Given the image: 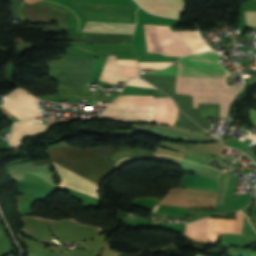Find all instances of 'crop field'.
<instances>
[{"mask_svg": "<svg viewBox=\"0 0 256 256\" xmlns=\"http://www.w3.org/2000/svg\"><path fill=\"white\" fill-rule=\"evenodd\" d=\"M221 233H234V220L209 218L206 238L217 240V235Z\"/></svg>", "mask_w": 256, "mask_h": 256, "instance_id": "22f410ed", "label": "crop field"}, {"mask_svg": "<svg viewBox=\"0 0 256 256\" xmlns=\"http://www.w3.org/2000/svg\"><path fill=\"white\" fill-rule=\"evenodd\" d=\"M121 75L134 77L138 75V68L124 67Z\"/></svg>", "mask_w": 256, "mask_h": 256, "instance_id": "214f88e0", "label": "crop field"}, {"mask_svg": "<svg viewBox=\"0 0 256 256\" xmlns=\"http://www.w3.org/2000/svg\"><path fill=\"white\" fill-rule=\"evenodd\" d=\"M115 97H95L91 101H111Z\"/></svg>", "mask_w": 256, "mask_h": 256, "instance_id": "00972430", "label": "crop field"}, {"mask_svg": "<svg viewBox=\"0 0 256 256\" xmlns=\"http://www.w3.org/2000/svg\"><path fill=\"white\" fill-rule=\"evenodd\" d=\"M54 167L57 171V174L60 176L62 182L58 184L59 188L61 189L62 187H70L76 190H79L81 192L87 193L93 197L98 196V189L97 185L54 164Z\"/></svg>", "mask_w": 256, "mask_h": 256, "instance_id": "d8731c3e", "label": "crop field"}, {"mask_svg": "<svg viewBox=\"0 0 256 256\" xmlns=\"http://www.w3.org/2000/svg\"><path fill=\"white\" fill-rule=\"evenodd\" d=\"M250 115H251V118H252L254 124L256 125V111H253V110H252V111L250 112Z\"/></svg>", "mask_w": 256, "mask_h": 256, "instance_id": "4177f3b9", "label": "crop field"}, {"mask_svg": "<svg viewBox=\"0 0 256 256\" xmlns=\"http://www.w3.org/2000/svg\"><path fill=\"white\" fill-rule=\"evenodd\" d=\"M127 85H135V86L155 88V87L149 85L148 83H146L145 81L140 80V79H132V80L129 81V83Z\"/></svg>", "mask_w": 256, "mask_h": 256, "instance_id": "92a150f3", "label": "crop field"}, {"mask_svg": "<svg viewBox=\"0 0 256 256\" xmlns=\"http://www.w3.org/2000/svg\"><path fill=\"white\" fill-rule=\"evenodd\" d=\"M22 89H16L5 99L3 107L19 120L34 117L40 114L35 97Z\"/></svg>", "mask_w": 256, "mask_h": 256, "instance_id": "412701ff", "label": "crop field"}, {"mask_svg": "<svg viewBox=\"0 0 256 256\" xmlns=\"http://www.w3.org/2000/svg\"><path fill=\"white\" fill-rule=\"evenodd\" d=\"M51 159L35 161L34 165L54 162L94 183H98L106 174L113 170V163L106 156L102 157L94 150L85 148H59L44 151Z\"/></svg>", "mask_w": 256, "mask_h": 256, "instance_id": "ac0d7876", "label": "crop field"}, {"mask_svg": "<svg viewBox=\"0 0 256 256\" xmlns=\"http://www.w3.org/2000/svg\"><path fill=\"white\" fill-rule=\"evenodd\" d=\"M50 127L51 126L35 124L33 119L21 123H16L13 127L8 142L10 145L18 148L22 140L30 136L39 135L40 133L48 130Z\"/></svg>", "mask_w": 256, "mask_h": 256, "instance_id": "3316defc", "label": "crop field"}, {"mask_svg": "<svg viewBox=\"0 0 256 256\" xmlns=\"http://www.w3.org/2000/svg\"><path fill=\"white\" fill-rule=\"evenodd\" d=\"M142 97H153V96H119V99H127V98H142Z\"/></svg>", "mask_w": 256, "mask_h": 256, "instance_id": "a9b5d70f", "label": "crop field"}, {"mask_svg": "<svg viewBox=\"0 0 256 256\" xmlns=\"http://www.w3.org/2000/svg\"><path fill=\"white\" fill-rule=\"evenodd\" d=\"M21 5V1L11 2V15L14 20H20L21 16L19 14V7Z\"/></svg>", "mask_w": 256, "mask_h": 256, "instance_id": "733c2abd", "label": "crop field"}, {"mask_svg": "<svg viewBox=\"0 0 256 256\" xmlns=\"http://www.w3.org/2000/svg\"><path fill=\"white\" fill-rule=\"evenodd\" d=\"M3 1H16V0H3Z\"/></svg>", "mask_w": 256, "mask_h": 256, "instance_id": "eef30255", "label": "crop field"}, {"mask_svg": "<svg viewBox=\"0 0 256 256\" xmlns=\"http://www.w3.org/2000/svg\"><path fill=\"white\" fill-rule=\"evenodd\" d=\"M244 214L240 211L236 212V228L235 233H241L243 226Z\"/></svg>", "mask_w": 256, "mask_h": 256, "instance_id": "4a817a6b", "label": "crop field"}, {"mask_svg": "<svg viewBox=\"0 0 256 256\" xmlns=\"http://www.w3.org/2000/svg\"><path fill=\"white\" fill-rule=\"evenodd\" d=\"M158 207H159L158 205H155V207L153 208L152 212H156Z\"/></svg>", "mask_w": 256, "mask_h": 256, "instance_id": "730fd06b", "label": "crop field"}, {"mask_svg": "<svg viewBox=\"0 0 256 256\" xmlns=\"http://www.w3.org/2000/svg\"><path fill=\"white\" fill-rule=\"evenodd\" d=\"M177 126L184 127L191 130H196L202 132L203 130L197 125L192 123L188 118H186L182 113H180V119Z\"/></svg>", "mask_w": 256, "mask_h": 256, "instance_id": "5142ce71", "label": "crop field"}, {"mask_svg": "<svg viewBox=\"0 0 256 256\" xmlns=\"http://www.w3.org/2000/svg\"><path fill=\"white\" fill-rule=\"evenodd\" d=\"M143 78L161 90L167 92L178 104L179 108L195 122H197L198 110L191 109L192 107V96L174 94L175 92V78L173 77H160L152 75H141Z\"/></svg>", "mask_w": 256, "mask_h": 256, "instance_id": "dd49c442", "label": "crop field"}, {"mask_svg": "<svg viewBox=\"0 0 256 256\" xmlns=\"http://www.w3.org/2000/svg\"><path fill=\"white\" fill-rule=\"evenodd\" d=\"M20 12L23 17L22 21L32 24L56 21L59 22L60 26L66 20L65 11L48 6L44 4L43 1L30 5L24 3Z\"/></svg>", "mask_w": 256, "mask_h": 256, "instance_id": "f4fd0767", "label": "crop field"}, {"mask_svg": "<svg viewBox=\"0 0 256 256\" xmlns=\"http://www.w3.org/2000/svg\"><path fill=\"white\" fill-rule=\"evenodd\" d=\"M135 24L86 22L82 31L133 33Z\"/></svg>", "mask_w": 256, "mask_h": 256, "instance_id": "28ad6ade", "label": "crop field"}, {"mask_svg": "<svg viewBox=\"0 0 256 256\" xmlns=\"http://www.w3.org/2000/svg\"><path fill=\"white\" fill-rule=\"evenodd\" d=\"M149 12L165 16L179 17L184 13L185 3L183 0H136Z\"/></svg>", "mask_w": 256, "mask_h": 256, "instance_id": "5a996713", "label": "crop field"}, {"mask_svg": "<svg viewBox=\"0 0 256 256\" xmlns=\"http://www.w3.org/2000/svg\"><path fill=\"white\" fill-rule=\"evenodd\" d=\"M221 55L215 52L183 57L178 67L151 73L160 76H174L176 93L193 95V107L198 103L220 104L219 117H225L233 96L242 85L227 86L225 78L229 73L216 59Z\"/></svg>", "mask_w": 256, "mask_h": 256, "instance_id": "8a807250", "label": "crop field"}, {"mask_svg": "<svg viewBox=\"0 0 256 256\" xmlns=\"http://www.w3.org/2000/svg\"><path fill=\"white\" fill-rule=\"evenodd\" d=\"M197 256H200V255H197Z\"/></svg>", "mask_w": 256, "mask_h": 256, "instance_id": "ae1a2a85", "label": "crop field"}, {"mask_svg": "<svg viewBox=\"0 0 256 256\" xmlns=\"http://www.w3.org/2000/svg\"><path fill=\"white\" fill-rule=\"evenodd\" d=\"M207 218H203L197 221H193L189 224H187L186 227V235L192 236V237H204L206 235V228H207Z\"/></svg>", "mask_w": 256, "mask_h": 256, "instance_id": "cbeb9de0", "label": "crop field"}, {"mask_svg": "<svg viewBox=\"0 0 256 256\" xmlns=\"http://www.w3.org/2000/svg\"><path fill=\"white\" fill-rule=\"evenodd\" d=\"M115 62L116 56L109 55L99 78L100 81L117 84V81H127L131 79L129 77L120 76L123 67L115 66Z\"/></svg>", "mask_w": 256, "mask_h": 256, "instance_id": "d1516ede", "label": "crop field"}, {"mask_svg": "<svg viewBox=\"0 0 256 256\" xmlns=\"http://www.w3.org/2000/svg\"><path fill=\"white\" fill-rule=\"evenodd\" d=\"M100 118H108L116 121L149 120L154 122L153 105L132 107V101L112 103L100 115Z\"/></svg>", "mask_w": 256, "mask_h": 256, "instance_id": "34b2d1b8", "label": "crop field"}, {"mask_svg": "<svg viewBox=\"0 0 256 256\" xmlns=\"http://www.w3.org/2000/svg\"><path fill=\"white\" fill-rule=\"evenodd\" d=\"M116 65L137 67V60H117Z\"/></svg>", "mask_w": 256, "mask_h": 256, "instance_id": "dafd665d", "label": "crop field"}, {"mask_svg": "<svg viewBox=\"0 0 256 256\" xmlns=\"http://www.w3.org/2000/svg\"><path fill=\"white\" fill-rule=\"evenodd\" d=\"M133 100L134 105L154 104L155 123L171 124L175 122L177 107L170 97L127 99ZM119 100V101H127ZM117 102V101H115Z\"/></svg>", "mask_w": 256, "mask_h": 256, "instance_id": "e52e79f7", "label": "crop field"}, {"mask_svg": "<svg viewBox=\"0 0 256 256\" xmlns=\"http://www.w3.org/2000/svg\"><path fill=\"white\" fill-rule=\"evenodd\" d=\"M173 62H138L139 67L162 69Z\"/></svg>", "mask_w": 256, "mask_h": 256, "instance_id": "d9b57169", "label": "crop field"}, {"mask_svg": "<svg viewBox=\"0 0 256 256\" xmlns=\"http://www.w3.org/2000/svg\"><path fill=\"white\" fill-rule=\"evenodd\" d=\"M246 23L250 26H256V11H245Z\"/></svg>", "mask_w": 256, "mask_h": 256, "instance_id": "bc2a9ffb", "label": "crop field"}]
</instances>
